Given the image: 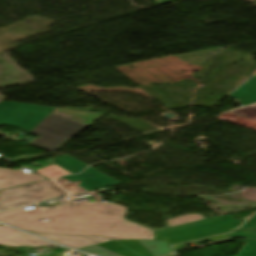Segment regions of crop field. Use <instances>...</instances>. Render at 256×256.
Wrapping results in <instances>:
<instances>
[{"label": "crop field", "instance_id": "cbeb9de0", "mask_svg": "<svg viewBox=\"0 0 256 256\" xmlns=\"http://www.w3.org/2000/svg\"><path fill=\"white\" fill-rule=\"evenodd\" d=\"M229 235L241 238L256 239V214L239 230Z\"/></svg>", "mask_w": 256, "mask_h": 256}, {"label": "crop field", "instance_id": "3316defc", "mask_svg": "<svg viewBox=\"0 0 256 256\" xmlns=\"http://www.w3.org/2000/svg\"><path fill=\"white\" fill-rule=\"evenodd\" d=\"M37 235L53 240L55 242L61 243L68 247L75 248V249L105 242V241H110L105 237L66 236V235L47 234V233H37Z\"/></svg>", "mask_w": 256, "mask_h": 256}, {"label": "crop field", "instance_id": "bc2a9ffb", "mask_svg": "<svg viewBox=\"0 0 256 256\" xmlns=\"http://www.w3.org/2000/svg\"><path fill=\"white\" fill-rule=\"evenodd\" d=\"M66 179H62V178H58V179H56V182L60 185V186H66V185H72L73 183H75V182H72V183H66Z\"/></svg>", "mask_w": 256, "mask_h": 256}, {"label": "crop field", "instance_id": "5142ce71", "mask_svg": "<svg viewBox=\"0 0 256 256\" xmlns=\"http://www.w3.org/2000/svg\"><path fill=\"white\" fill-rule=\"evenodd\" d=\"M218 119L226 120V121H229V122H232V123H235V124H238V125L245 126V127L256 130V121L251 120V119H247V118H244V117H241V116H237V115L232 114V115H230L226 118L219 117Z\"/></svg>", "mask_w": 256, "mask_h": 256}, {"label": "crop field", "instance_id": "5a996713", "mask_svg": "<svg viewBox=\"0 0 256 256\" xmlns=\"http://www.w3.org/2000/svg\"><path fill=\"white\" fill-rule=\"evenodd\" d=\"M54 160L56 165L38 170L36 172L54 179L65 174L78 173L88 166L87 164L69 155L58 157Z\"/></svg>", "mask_w": 256, "mask_h": 256}, {"label": "crop field", "instance_id": "8a807250", "mask_svg": "<svg viewBox=\"0 0 256 256\" xmlns=\"http://www.w3.org/2000/svg\"><path fill=\"white\" fill-rule=\"evenodd\" d=\"M49 221L39 220L9 224L31 233L105 236L117 239H151L153 231L125 220L127 208L114 203L74 204L64 200L57 208L43 211Z\"/></svg>", "mask_w": 256, "mask_h": 256}, {"label": "crop field", "instance_id": "34b2d1b8", "mask_svg": "<svg viewBox=\"0 0 256 256\" xmlns=\"http://www.w3.org/2000/svg\"><path fill=\"white\" fill-rule=\"evenodd\" d=\"M99 256H161L173 253L167 241L122 240L78 249Z\"/></svg>", "mask_w": 256, "mask_h": 256}, {"label": "crop field", "instance_id": "dafd665d", "mask_svg": "<svg viewBox=\"0 0 256 256\" xmlns=\"http://www.w3.org/2000/svg\"><path fill=\"white\" fill-rule=\"evenodd\" d=\"M93 195L95 196V198L97 199L98 202H102L98 195H95V194H93Z\"/></svg>", "mask_w": 256, "mask_h": 256}, {"label": "crop field", "instance_id": "dd49c442", "mask_svg": "<svg viewBox=\"0 0 256 256\" xmlns=\"http://www.w3.org/2000/svg\"><path fill=\"white\" fill-rule=\"evenodd\" d=\"M54 109L5 101L0 103V126L6 124L31 131Z\"/></svg>", "mask_w": 256, "mask_h": 256}, {"label": "crop field", "instance_id": "ac0d7876", "mask_svg": "<svg viewBox=\"0 0 256 256\" xmlns=\"http://www.w3.org/2000/svg\"><path fill=\"white\" fill-rule=\"evenodd\" d=\"M239 223L229 214L212 217L154 232L155 240H167L169 245L232 231Z\"/></svg>", "mask_w": 256, "mask_h": 256}, {"label": "crop field", "instance_id": "d8731c3e", "mask_svg": "<svg viewBox=\"0 0 256 256\" xmlns=\"http://www.w3.org/2000/svg\"><path fill=\"white\" fill-rule=\"evenodd\" d=\"M0 245L18 247V246H53L54 244L24 234L17 230L11 229L6 226L0 227Z\"/></svg>", "mask_w": 256, "mask_h": 256}, {"label": "crop field", "instance_id": "4a817a6b", "mask_svg": "<svg viewBox=\"0 0 256 256\" xmlns=\"http://www.w3.org/2000/svg\"><path fill=\"white\" fill-rule=\"evenodd\" d=\"M231 113L238 114V115L256 120V105L246 107L243 109H239V110H235Z\"/></svg>", "mask_w": 256, "mask_h": 256}, {"label": "crop field", "instance_id": "214f88e0", "mask_svg": "<svg viewBox=\"0 0 256 256\" xmlns=\"http://www.w3.org/2000/svg\"><path fill=\"white\" fill-rule=\"evenodd\" d=\"M43 162L46 163L47 166L53 163L52 159L46 160V161H43ZM26 167H28V168H30V169H33V170H36V169H37V168H34V167H30V166H26ZM42 168H43V167H42ZM39 169H40V168H39Z\"/></svg>", "mask_w": 256, "mask_h": 256}, {"label": "crop field", "instance_id": "d9b57169", "mask_svg": "<svg viewBox=\"0 0 256 256\" xmlns=\"http://www.w3.org/2000/svg\"><path fill=\"white\" fill-rule=\"evenodd\" d=\"M200 219H204V217L201 215H185V216L167 220V222L169 224L168 227H170V226L180 225V224H184V223H188V222H192Z\"/></svg>", "mask_w": 256, "mask_h": 256}, {"label": "crop field", "instance_id": "28ad6ade", "mask_svg": "<svg viewBox=\"0 0 256 256\" xmlns=\"http://www.w3.org/2000/svg\"><path fill=\"white\" fill-rule=\"evenodd\" d=\"M9 177H12V179H9ZM39 180H44V178L36 174H26L22 171L0 168V189Z\"/></svg>", "mask_w": 256, "mask_h": 256}, {"label": "crop field", "instance_id": "d1516ede", "mask_svg": "<svg viewBox=\"0 0 256 256\" xmlns=\"http://www.w3.org/2000/svg\"><path fill=\"white\" fill-rule=\"evenodd\" d=\"M243 106L256 102V75L230 94Z\"/></svg>", "mask_w": 256, "mask_h": 256}, {"label": "crop field", "instance_id": "00972430", "mask_svg": "<svg viewBox=\"0 0 256 256\" xmlns=\"http://www.w3.org/2000/svg\"><path fill=\"white\" fill-rule=\"evenodd\" d=\"M53 207H56V206H53ZM53 207H49V208H53ZM44 209H48V208H41V210H44ZM46 218V217H45Z\"/></svg>", "mask_w": 256, "mask_h": 256}, {"label": "crop field", "instance_id": "22f410ed", "mask_svg": "<svg viewBox=\"0 0 256 256\" xmlns=\"http://www.w3.org/2000/svg\"><path fill=\"white\" fill-rule=\"evenodd\" d=\"M44 218L40 209H32L24 211L22 208L0 213V221L8 224L19 221Z\"/></svg>", "mask_w": 256, "mask_h": 256}, {"label": "crop field", "instance_id": "92a150f3", "mask_svg": "<svg viewBox=\"0 0 256 256\" xmlns=\"http://www.w3.org/2000/svg\"><path fill=\"white\" fill-rule=\"evenodd\" d=\"M170 1H174V0H157L158 5L170 2Z\"/></svg>", "mask_w": 256, "mask_h": 256}, {"label": "crop field", "instance_id": "733c2abd", "mask_svg": "<svg viewBox=\"0 0 256 256\" xmlns=\"http://www.w3.org/2000/svg\"><path fill=\"white\" fill-rule=\"evenodd\" d=\"M237 256H256V240L246 239V245Z\"/></svg>", "mask_w": 256, "mask_h": 256}, {"label": "crop field", "instance_id": "f4fd0767", "mask_svg": "<svg viewBox=\"0 0 256 256\" xmlns=\"http://www.w3.org/2000/svg\"><path fill=\"white\" fill-rule=\"evenodd\" d=\"M85 127L50 114L30 132V134L39 136L30 145L54 152L62 141Z\"/></svg>", "mask_w": 256, "mask_h": 256}, {"label": "crop field", "instance_id": "e52e79f7", "mask_svg": "<svg viewBox=\"0 0 256 256\" xmlns=\"http://www.w3.org/2000/svg\"><path fill=\"white\" fill-rule=\"evenodd\" d=\"M62 178L70 179L72 181L80 180L82 182L79 186H66L63 187L66 189L71 195L92 191L99 188L120 184V182L92 169L91 167L88 168L86 171L81 173L80 175L75 176H64ZM75 187V188H73Z\"/></svg>", "mask_w": 256, "mask_h": 256}, {"label": "crop field", "instance_id": "412701ff", "mask_svg": "<svg viewBox=\"0 0 256 256\" xmlns=\"http://www.w3.org/2000/svg\"><path fill=\"white\" fill-rule=\"evenodd\" d=\"M66 195L54 181L46 180L14 189L2 191L0 210L36 203L42 200Z\"/></svg>", "mask_w": 256, "mask_h": 256}]
</instances>
